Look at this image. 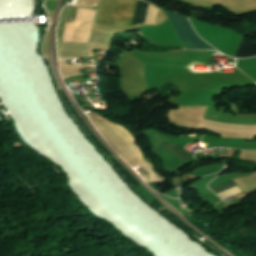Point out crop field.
<instances>
[{"label":"crop field","mask_w":256,"mask_h":256,"mask_svg":"<svg viewBox=\"0 0 256 256\" xmlns=\"http://www.w3.org/2000/svg\"><path fill=\"white\" fill-rule=\"evenodd\" d=\"M163 12L168 17L178 39L183 44L184 48L213 49L199 38V36L193 31L191 24L184 16L166 10H163Z\"/></svg>","instance_id":"34b2d1b8"},{"label":"crop field","mask_w":256,"mask_h":256,"mask_svg":"<svg viewBox=\"0 0 256 256\" xmlns=\"http://www.w3.org/2000/svg\"><path fill=\"white\" fill-rule=\"evenodd\" d=\"M162 147L168 149L169 151H171L172 153H174L176 156L184 159L187 161V159L189 158L190 155L184 153L183 151L177 149L176 147H174L172 144L170 143H163V144H159Z\"/></svg>","instance_id":"f4fd0767"},{"label":"crop field","mask_w":256,"mask_h":256,"mask_svg":"<svg viewBox=\"0 0 256 256\" xmlns=\"http://www.w3.org/2000/svg\"><path fill=\"white\" fill-rule=\"evenodd\" d=\"M137 3L135 0H102L96 22L132 26ZM147 6L139 1L133 25L144 24Z\"/></svg>","instance_id":"8a807250"},{"label":"crop field","mask_w":256,"mask_h":256,"mask_svg":"<svg viewBox=\"0 0 256 256\" xmlns=\"http://www.w3.org/2000/svg\"><path fill=\"white\" fill-rule=\"evenodd\" d=\"M234 186H236V185L232 182V180H230V181H228V182H225V183H223V184H220V185H218V186H216V187H213V188H211V189H212L215 193H218V192H220V191L226 190V189L231 188V187H234Z\"/></svg>","instance_id":"dd49c442"},{"label":"crop field","mask_w":256,"mask_h":256,"mask_svg":"<svg viewBox=\"0 0 256 256\" xmlns=\"http://www.w3.org/2000/svg\"><path fill=\"white\" fill-rule=\"evenodd\" d=\"M256 55V43H252L243 37L235 57H251Z\"/></svg>","instance_id":"412701ff"},{"label":"crop field","mask_w":256,"mask_h":256,"mask_svg":"<svg viewBox=\"0 0 256 256\" xmlns=\"http://www.w3.org/2000/svg\"><path fill=\"white\" fill-rule=\"evenodd\" d=\"M144 64L127 53L121 63V73L124 82V92L139 95L147 92L143 80Z\"/></svg>","instance_id":"ac0d7876"}]
</instances>
